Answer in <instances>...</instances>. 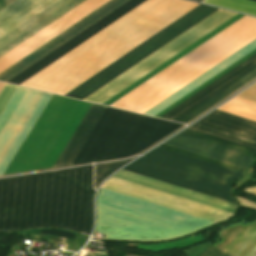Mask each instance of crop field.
<instances>
[{"label": "crop field", "instance_id": "obj_1", "mask_svg": "<svg viewBox=\"0 0 256 256\" xmlns=\"http://www.w3.org/2000/svg\"><path fill=\"white\" fill-rule=\"evenodd\" d=\"M92 166L0 179V232L41 226L89 234Z\"/></svg>", "mask_w": 256, "mask_h": 256}, {"label": "crop field", "instance_id": "obj_2", "mask_svg": "<svg viewBox=\"0 0 256 256\" xmlns=\"http://www.w3.org/2000/svg\"><path fill=\"white\" fill-rule=\"evenodd\" d=\"M198 5L147 0L21 86L63 95Z\"/></svg>", "mask_w": 256, "mask_h": 256}, {"label": "crop field", "instance_id": "obj_3", "mask_svg": "<svg viewBox=\"0 0 256 256\" xmlns=\"http://www.w3.org/2000/svg\"><path fill=\"white\" fill-rule=\"evenodd\" d=\"M256 34V19L243 17L111 107L138 112Z\"/></svg>", "mask_w": 256, "mask_h": 256}, {"label": "crop field", "instance_id": "obj_4", "mask_svg": "<svg viewBox=\"0 0 256 256\" xmlns=\"http://www.w3.org/2000/svg\"><path fill=\"white\" fill-rule=\"evenodd\" d=\"M123 170L231 203L234 202L229 195L230 186L241 175V172L160 147Z\"/></svg>", "mask_w": 256, "mask_h": 256}, {"label": "crop field", "instance_id": "obj_5", "mask_svg": "<svg viewBox=\"0 0 256 256\" xmlns=\"http://www.w3.org/2000/svg\"><path fill=\"white\" fill-rule=\"evenodd\" d=\"M84 0H16L0 11V56Z\"/></svg>", "mask_w": 256, "mask_h": 256}, {"label": "crop field", "instance_id": "obj_6", "mask_svg": "<svg viewBox=\"0 0 256 256\" xmlns=\"http://www.w3.org/2000/svg\"><path fill=\"white\" fill-rule=\"evenodd\" d=\"M216 10L217 8L203 5L198 6L132 51L128 52L88 80L66 93L65 96L81 100L85 99Z\"/></svg>", "mask_w": 256, "mask_h": 256}, {"label": "crop field", "instance_id": "obj_7", "mask_svg": "<svg viewBox=\"0 0 256 256\" xmlns=\"http://www.w3.org/2000/svg\"><path fill=\"white\" fill-rule=\"evenodd\" d=\"M237 13L219 9L185 33L89 96L85 101L102 104L168 59L172 58Z\"/></svg>", "mask_w": 256, "mask_h": 256}, {"label": "crop field", "instance_id": "obj_8", "mask_svg": "<svg viewBox=\"0 0 256 256\" xmlns=\"http://www.w3.org/2000/svg\"><path fill=\"white\" fill-rule=\"evenodd\" d=\"M144 119L107 107L72 165L121 158Z\"/></svg>", "mask_w": 256, "mask_h": 256}, {"label": "crop field", "instance_id": "obj_9", "mask_svg": "<svg viewBox=\"0 0 256 256\" xmlns=\"http://www.w3.org/2000/svg\"><path fill=\"white\" fill-rule=\"evenodd\" d=\"M164 144L246 169L256 151L191 131H183Z\"/></svg>", "mask_w": 256, "mask_h": 256}, {"label": "crop field", "instance_id": "obj_10", "mask_svg": "<svg viewBox=\"0 0 256 256\" xmlns=\"http://www.w3.org/2000/svg\"><path fill=\"white\" fill-rule=\"evenodd\" d=\"M102 188L159 204L168 208L192 214L215 222L227 219L232 213L205 206L196 202L172 196L140 185L111 177Z\"/></svg>", "mask_w": 256, "mask_h": 256}, {"label": "crop field", "instance_id": "obj_11", "mask_svg": "<svg viewBox=\"0 0 256 256\" xmlns=\"http://www.w3.org/2000/svg\"><path fill=\"white\" fill-rule=\"evenodd\" d=\"M187 130L256 150V122L213 111Z\"/></svg>", "mask_w": 256, "mask_h": 256}, {"label": "crop field", "instance_id": "obj_12", "mask_svg": "<svg viewBox=\"0 0 256 256\" xmlns=\"http://www.w3.org/2000/svg\"><path fill=\"white\" fill-rule=\"evenodd\" d=\"M109 0H86L8 53L0 57V72L49 41ZM8 69V68H7ZM5 71V70H4Z\"/></svg>", "mask_w": 256, "mask_h": 256}, {"label": "crop field", "instance_id": "obj_13", "mask_svg": "<svg viewBox=\"0 0 256 256\" xmlns=\"http://www.w3.org/2000/svg\"><path fill=\"white\" fill-rule=\"evenodd\" d=\"M127 1L128 0L109 1L108 3H106L84 19L80 20L49 42L45 43L44 45H42L29 55L9 67L5 71L1 72L0 81H8L9 79H11L12 77H14L15 75H17L18 73H20L21 71H23L24 69H26L27 67H29L30 65H32L33 63H35L72 37H74L75 35L79 34L80 32H82L83 30H85L86 28H88L89 26H91L92 24H94L95 22H97L98 20H100Z\"/></svg>", "mask_w": 256, "mask_h": 256}, {"label": "crop field", "instance_id": "obj_14", "mask_svg": "<svg viewBox=\"0 0 256 256\" xmlns=\"http://www.w3.org/2000/svg\"><path fill=\"white\" fill-rule=\"evenodd\" d=\"M144 1L145 0L128 1L127 3H125L124 5H122L121 7H119L82 33H80L79 35L75 36L41 60L30 66L29 68L9 80L8 83L16 85L21 84L22 82H24L25 80H27L28 78H30L31 76H33L34 74H36L37 72H39L40 70H42L43 68H45L46 66H48L49 64H51L52 62H54L55 60H57L58 58H60L61 56H63L64 54H66L67 52H69L70 50H72L73 48H75L76 46H78L79 44H81L82 42H84L85 40H87L88 38H90L91 36H93L94 34H96L97 32H99L100 30H102L103 28H105L106 26H108L109 24H111L112 22H114L115 20H117Z\"/></svg>", "mask_w": 256, "mask_h": 256}, {"label": "crop field", "instance_id": "obj_15", "mask_svg": "<svg viewBox=\"0 0 256 256\" xmlns=\"http://www.w3.org/2000/svg\"><path fill=\"white\" fill-rule=\"evenodd\" d=\"M256 66V54L179 104L178 106L174 107L167 113L161 116V118L169 119V120H177L191 109L223 89L225 86L251 70Z\"/></svg>", "mask_w": 256, "mask_h": 256}, {"label": "crop field", "instance_id": "obj_16", "mask_svg": "<svg viewBox=\"0 0 256 256\" xmlns=\"http://www.w3.org/2000/svg\"><path fill=\"white\" fill-rule=\"evenodd\" d=\"M223 240L212 245L230 256H254L256 254V220L240 223L220 231Z\"/></svg>", "mask_w": 256, "mask_h": 256}, {"label": "crop field", "instance_id": "obj_17", "mask_svg": "<svg viewBox=\"0 0 256 256\" xmlns=\"http://www.w3.org/2000/svg\"><path fill=\"white\" fill-rule=\"evenodd\" d=\"M180 126L182 124L146 117L122 158L144 151Z\"/></svg>", "mask_w": 256, "mask_h": 256}, {"label": "crop field", "instance_id": "obj_18", "mask_svg": "<svg viewBox=\"0 0 256 256\" xmlns=\"http://www.w3.org/2000/svg\"><path fill=\"white\" fill-rule=\"evenodd\" d=\"M105 109V106L92 104L53 167L71 165Z\"/></svg>", "mask_w": 256, "mask_h": 256}, {"label": "crop field", "instance_id": "obj_19", "mask_svg": "<svg viewBox=\"0 0 256 256\" xmlns=\"http://www.w3.org/2000/svg\"><path fill=\"white\" fill-rule=\"evenodd\" d=\"M255 77H256V68L250 71L249 73H247L246 75H244L242 78L252 80ZM247 82H249V80H245L241 78L238 79L237 81H235L234 83H232L231 85H229L228 87H226L225 89H223L222 91H220L219 93H217L216 95H214L213 97L205 101L204 103H202L201 105H199L198 107H196L195 109H193L192 111H190L189 113H187L186 115L178 119L176 122H180L184 124L188 123L193 118H195L196 116H198L199 114H201L202 112H204L205 110L213 106L214 104L218 103L219 101L227 97L229 94H231L232 92H234L236 89L243 86Z\"/></svg>", "mask_w": 256, "mask_h": 256}, {"label": "crop field", "instance_id": "obj_20", "mask_svg": "<svg viewBox=\"0 0 256 256\" xmlns=\"http://www.w3.org/2000/svg\"><path fill=\"white\" fill-rule=\"evenodd\" d=\"M217 110L256 121V103L240 98H233Z\"/></svg>", "mask_w": 256, "mask_h": 256}, {"label": "crop field", "instance_id": "obj_21", "mask_svg": "<svg viewBox=\"0 0 256 256\" xmlns=\"http://www.w3.org/2000/svg\"><path fill=\"white\" fill-rule=\"evenodd\" d=\"M204 3L256 16V2L250 0H205Z\"/></svg>", "mask_w": 256, "mask_h": 256}, {"label": "crop field", "instance_id": "obj_22", "mask_svg": "<svg viewBox=\"0 0 256 256\" xmlns=\"http://www.w3.org/2000/svg\"><path fill=\"white\" fill-rule=\"evenodd\" d=\"M255 38H256V35L250 38L249 40H247L246 42H244L243 44H241L240 46L236 47L235 49H233L232 51H230L229 53H227L226 55H224L223 57H221L211 65H209L208 67H206L205 69H203L202 71H200L199 73H197L196 75H194L193 77H191L190 79H188L187 81H185L184 83H182L181 85L173 89L172 91L168 92L167 94H165L164 96H162L161 98H159L158 100H156L155 102H153L152 104H150L149 106L141 110L139 113L141 114L145 113L146 111H148L149 109H151L152 107H154L155 105H157L158 103H160L161 101H163L164 99H166L167 97H169L170 95H172L173 93H175L176 91H178L179 89H181L182 87H184L185 85H187L188 83L196 79L197 77H199L200 75H202L203 73L211 69L213 66H215L216 64H218L219 62H221L222 60H224L225 58H227L228 56H230L231 54H233L234 52H236L237 50H239L240 48H242L243 46H245Z\"/></svg>", "mask_w": 256, "mask_h": 256}, {"label": "crop field", "instance_id": "obj_23", "mask_svg": "<svg viewBox=\"0 0 256 256\" xmlns=\"http://www.w3.org/2000/svg\"><path fill=\"white\" fill-rule=\"evenodd\" d=\"M128 161L130 160L95 165L94 188L97 189L98 185L103 179L108 177L114 170L124 165Z\"/></svg>", "mask_w": 256, "mask_h": 256}, {"label": "crop field", "instance_id": "obj_24", "mask_svg": "<svg viewBox=\"0 0 256 256\" xmlns=\"http://www.w3.org/2000/svg\"><path fill=\"white\" fill-rule=\"evenodd\" d=\"M160 147L167 148V149H170V150H173V151H176V152H180V153L192 156V157H196V158H199V159H202V160H205V161H209V162H212V163H215V164H218V165H222V166H225V167H228V168H231V169H234V170H238V171H241V172L244 171V169L234 167V166L222 163V162H218V161H215V160H212V159H209V158H206V157H202V156L190 153V152H186V151L174 148V147H170V146H167V145H164V144L160 145Z\"/></svg>", "mask_w": 256, "mask_h": 256}, {"label": "crop field", "instance_id": "obj_25", "mask_svg": "<svg viewBox=\"0 0 256 256\" xmlns=\"http://www.w3.org/2000/svg\"><path fill=\"white\" fill-rule=\"evenodd\" d=\"M16 89V86L8 85L4 87L3 91L0 94V113L6 103L8 102L9 98L13 94L14 90Z\"/></svg>", "mask_w": 256, "mask_h": 256}, {"label": "crop field", "instance_id": "obj_26", "mask_svg": "<svg viewBox=\"0 0 256 256\" xmlns=\"http://www.w3.org/2000/svg\"><path fill=\"white\" fill-rule=\"evenodd\" d=\"M210 247L207 243H202L197 246L188 248L186 250H183L184 254L186 256H200L205 250H207Z\"/></svg>", "mask_w": 256, "mask_h": 256}, {"label": "crop field", "instance_id": "obj_27", "mask_svg": "<svg viewBox=\"0 0 256 256\" xmlns=\"http://www.w3.org/2000/svg\"><path fill=\"white\" fill-rule=\"evenodd\" d=\"M237 97L256 102V83L237 95Z\"/></svg>", "mask_w": 256, "mask_h": 256}, {"label": "crop field", "instance_id": "obj_28", "mask_svg": "<svg viewBox=\"0 0 256 256\" xmlns=\"http://www.w3.org/2000/svg\"><path fill=\"white\" fill-rule=\"evenodd\" d=\"M244 191H247L249 193H252V194L256 195V187L247 188ZM236 199L238 200V202H239V204L241 206H245V207H249V208H252V209H256V204L255 203H253L251 201H248L246 199H243V198L236 197Z\"/></svg>", "mask_w": 256, "mask_h": 256}, {"label": "crop field", "instance_id": "obj_29", "mask_svg": "<svg viewBox=\"0 0 256 256\" xmlns=\"http://www.w3.org/2000/svg\"><path fill=\"white\" fill-rule=\"evenodd\" d=\"M46 235L52 234L60 237L74 238V234L68 233L66 231H56V230H44Z\"/></svg>", "mask_w": 256, "mask_h": 256}, {"label": "crop field", "instance_id": "obj_30", "mask_svg": "<svg viewBox=\"0 0 256 256\" xmlns=\"http://www.w3.org/2000/svg\"><path fill=\"white\" fill-rule=\"evenodd\" d=\"M201 256H228V255L211 246Z\"/></svg>", "mask_w": 256, "mask_h": 256}, {"label": "crop field", "instance_id": "obj_31", "mask_svg": "<svg viewBox=\"0 0 256 256\" xmlns=\"http://www.w3.org/2000/svg\"><path fill=\"white\" fill-rule=\"evenodd\" d=\"M11 1H13V0H0V8H2L3 6L7 5Z\"/></svg>", "mask_w": 256, "mask_h": 256}, {"label": "crop field", "instance_id": "obj_32", "mask_svg": "<svg viewBox=\"0 0 256 256\" xmlns=\"http://www.w3.org/2000/svg\"><path fill=\"white\" fill-rule=\"evenodd\" d=\"M5 86L4 83H0V92L2 91L3 87Z\"/></svg>", "mask_w": 256, "mask_h": 256}, {"label": "crop field", "instance_id": "obj_33", "mask_svg": "<svg viewBox=\"0 0 256 256\" xmlns=\"http://www.w3.org/2000/svg\"><path fill=\"white\" fill-rule=\"evenodd\" d=\"M196 1L202 2L203 0H196Z\"/></svg>", "mask_w": 256, "mask_h": 256}, {"label": "crop field", "instance_id": "obj_34", "mask_svg": "<svg viewBox=\"0 0 256 256\" xmlns=\"http://www.w3.org/2000/svg\"><path fill=\"white\" fill-rule=\"evenodd\" d=\"M254 1H256V0H254Z\"/></svg>", "mask_w": 256, "mask_h": 256}]
</instances>
